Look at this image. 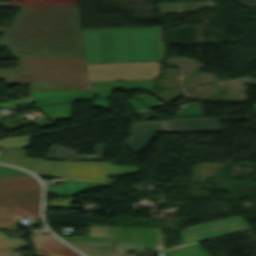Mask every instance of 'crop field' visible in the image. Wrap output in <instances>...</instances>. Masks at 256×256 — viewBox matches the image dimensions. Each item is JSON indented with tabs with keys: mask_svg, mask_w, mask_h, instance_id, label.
I'll list each match as a JSON object with an SVG mask.
<instances>
[{
	"mask_svg": "<svg viewBox=\"0 0 256 256\" xmlns=\"http://www.w3.org/2000/svg\"><path fill=\"white\" fill-rule=\"evenodd\" d=\"M0 32V46L6 45L16 59L83 55L77 5L21 8L11 27ZM20 51L26 52L15 53Z\"/></svg>",
	"mask_w": 256,
	"mask_h": 256,
	"instance_id": "obj_1",
	"label": "crop field"
},
{
	"mask_svg": "<svg viewBox=\"0 0 256 256\" xmlns=\"http://www.w3.org/2000/svg\"><path fill=\"white\" fill-rule=\"evenodd\" d=\"M18 63L19 69L0 70L6 84H30V91L91 88L85 82L82 56L26 59Z\"/></svg>",
	"mask_w": 256,
	"mask_h": 256,
	"instance_id": "obj_2",
	"label": "crop field"
},
{
	"mask_svg": "<svg viewBox=\"0 0 256 256\" xmlns=\"http://www.w3.org/2000/svg\"><path fill=\"white\" fill-rule=\"evenodd\" d=\"M23 149H1L0 162L29 169L38 175L113 182L108 176H121L139 171V168L118 167L110 162H52L25 158Z\"/></svg>",
	"mask_w": 256,
	"mask_h": 256,
	"instance_id": "obj_3",
	"label": "crop field"
},
{
	"mask_svg": "<svg viewBox=\"0 0 256 256\" xmlns=\"http://www.w3.org/2000/svg\"><path fill=\"white\" fill-rule=\"evenodd\" d=\"M40 198L35 177H0V228L15 230L16 219L39 218Z\"/></svg>",
	"mask_w": 256,
	"mask_h": 256,
	"instance_id": "obj_4",
	"label": "crop field"
},
{
	"mask_svg": "<svg viewBox=\"0 0 256 256\" xmlns=\"http://www.w3.org/2000/svg\"><path fill=\"white\" fill-rule=\"evenodd\" d=\"M138 114L145 121L133 124L131 128L133 135L127 139L128 146L137 154L150 140L156 129L164 132L221 131L218 120L215 119H180V117L203 116L199 103H185L178 115L179 119L171 121H146L154 115L150 110L141 111Z\"/></svg>",
	"mask_w": 256,
	"mask_h": 256,
	"instance_id": "obj_5",
	"label": "crop field"
},
{
	"mask_svg": "<svg viewBox=\"0 0 256 256\" xmlns=\"http://www.w3.org/2000/svg\"><path fill=\"white\" fill-rule=\"evenodd\" d=\"M118 62L161 60L163 46L160 27L114 29Z\"/></svg>",
	"mask_w": 256,
	"mask_h": 256,
	"instance_id": "obj_6",
	"label": "crop field"
},
{
	"mask_svg": "<svg viewBox=\"0 0 256 256\" xmlns=\"http://www.w3.org/2000/svg\"><path fill=\"white\" fill-rule=\"evenodd\" d=\"M65 241H114L143 244L155 251L163 249L158 229L89 227V237H61Z\"/></svg>",
	"mask_w": 256,
	"mask_h": 256,
	"instance_id": "obj_7",
	"label": "crop field"
},
{
	"mask_svg": "<svg viewBox=\"0 0 256 256\" xmlns=\"http://www.w3.org/2000/svg\"><path fill=\"white\" fill-rule=\"evenodd\" d=\"M88 81L154 79L160 71L156 62L86 64Z\"/></svg>",
	"mask_w": 256,
	"mask_h": 256,
	"instance_id": "obj_8",
	"label": "crop field"
},
{
	"mask_svg": "<svg viewBox=\"0 0 256 256\" xmlns=\"http://www.w3.org/2000/svg\"><path fill=\"white\" fill-rule=\"evenodd\" d=\"M93 89L64 90V91H43L30 92L36 106L54 103L79 101L92 99V96L99 98L111 97L114 89L120 88L118 82H96L91 83Z\"/></svg>",
	"mask_w": 256,
	"mask_h": 256,
	"instance_id": "obj_9",
	"label": "crop field"
},
{
	"mask_svg": "<svg viewBox=\"0 0 256 256\" xmlns=\"http://www.w3.org/2000/svg\"><path fill=\"white\" fill-rule=\"evenodd\" d=\"M86 63L117 62L112 29L82 30Z\"/></svg>",
	"mask_w": 256,
	"mask_h": 256,
	"instance_id": "obj_10",
	"label": "crop field"
},
{
	"mask_svg": "<svg viewBox=\"0 0 256 256\" xmlns=\"http://www.w3.org/2000/svg\"><path fill=\"white\" fill-rule=\"evenodd\" d=\"M248 228L240 216L190 228L182 234V241L187 244L237 230Z\"/></svg>",
	"mask_w": 256,
	"mask_h": 256,
	"instance_id": "obj_11",
	"label": "crop field"
},
{
	"mask_svg": "<svg viewBox=\"0 0 256 256\" xmlns=\"http://www.w3.org/2000/svg\"><path fill=\"white\" fill-rule=\"evenodd\" d=\"M36 256H81L52 235H30Z\"/></svg>",
	"mask_w": 256,
	"mask_h": 256,
	"instance_id": "obj_12",
	"label": "crop field"
},
{
	"mask_svg": "<svg viewBox=\"0 0 256 256\" xmlns=\"http://www.w3.org/2000/svg\"><path fill=\"white\" fill-rule=\"evenodd\" d=\"M74 248L79 251L85 253L88 256H125L127 250L133 252H143V245H134V244H122L116 243L115 245V253L106 252L101 250L95 246H105L107 242H67Z\"/></svg>",
	"mask_w": 256,
	"mask_h": 256,
	"instance_id": "obj_13",
	"label": "crop field"
},
{
	"mask_svg": "<svg viewBox=\"0 0 256 256\" xmlns=\"http://www.w3.org/2000/svg\"><path fill=\"white\" fill-rule=\"evenodd\" d=\"M106 145H97L94 156L78 155L77 151L70 148L53 145L47 156L51 160H102Z\"/></svg>",
	"mask_w": 256,
	"mask_h": 256,
	"instance_id": "obj_14",
	"label": "crop field"
},
{
	"mask_svg": "<svg viewBox=\"0 0 256 256\" xmlns=\"http://www.w3.org/2000/svg\"><path fill=\"white\" fill-rule=\"evenodd\" d=\"M111 184L65 179L60 187L46 186V193L74 196L94 187H110Z\"/></svg>",
	"mask_w": 256,
	"mask_h": 256,
	"instance_id": "obj_15",
	"label": "crop field"
},
{
	"mask_svg": "<svg viewBox=\"0 0 256 256\" xmlns=\"http://www.w3.org/2000/svg\"><path fill=\"white\" fill-rule=\"evenodd\" d=\"M159 254L160 256H209L198 243L160 252Z\"/></svg>",
	"mask_w": 256,
	"mask_h": 256,
	"instance_id": "obj_16",
	"label": "crop field"
},
{
	"mask_svg": "<svg viewBox=\"0 0 256 256\" xmlns=\"http://www.w3.org/2000/svg\"><path fill=\"white\" fill-rule=\"evenodd\" d=\"M73 103L38 107L53 120L66 119L70 117ZM48 117V118H49ZM49 118V119H50Z\"/></svg>",
	"mask_w": 256,
	"mask_h": 256,
	"instance_id": "obj_17",
	"label": "crop field"
},
{
	"mask_svg": "<svg viewBox=\"0 0 256 256\" xmlns=\"http://www.w3.org/2000/svg\"><path fill=\"white\" fill-rule=\"evenodd\" d=\"M123 91L132 89H155L154 80L118 81Z\"/></svg>",
	"mask_w": 256,
	"mask_h": 256,
	"instance_id": "obj_18",
	"label": "crop field"
},
{
	"mask_svg": "<svg viewBox=\"0 0 256 256\" xmlns=\"http://www.w3.org/2000/svg\"><path fill=\"white\" fill-rule=\"evenodd\" d=\"M29 245L27 242L12 236H7L0 232V248L13 247V246H25Z\"/></svg>",
	"mask_w": 256,
	"mask_h": 256,
	"instance_id": "obj_19",
	"label": "crop field"
},
{
	"mask_svg": "<svg viewBox=\"0 0 256 256\" xmlns=\"http://www.w3.org/2000/svg\"><path fill=\"white\" fill-rule=\"evenodd\" d=\"M30 138H19L14 140H4L0 142V147L24 148L29 144Z\"/></svg>",
	"mask_w": 256,
	"mask_h": 256,
	"instance_id": "obj_20",
	"label": "crop field"
},
{
	"mask_svg": "<svg viewBox=\"0 0 256 256\" xmlns=\"http://www.w3.org/2000/svg\"><path fill=\"white\" fill-rule=\"evenodd\" d=\"M22 175H31L20 169L6 167L0 165V176H22Z\"/></svg>",
	"mask_w": 256,
	"mask_h": 256,
	"instance_id": "obj_21",
	"label": "crop field"
},
{
	"mask_svg": "<svg viewBox=\"0 0 256 256\" xmlns=\"http://www.w3.org/2000/svg\"><path fill=\"white\" fill-rule=\"evenodd\" d=\"M136 98L148 107L155 106V105H160L159 102H157L156 100H154L153 98H151L147 95L137 96Z\"/></svg>",
	"mask_w": 256,
	"mask_h": 256,
	"instance_id": "obj_22",
	"label": "crop field"
},
{
	"mask_svg": "<svg viewBox=\"0 0 256 256\" xmlns=\"http://www.w3.org/2000/svg\"><path fill=\"white\" fill-rule=\"evenodd\" d=\"M92 106L108 110L107 99L93 100Z\"/></svg>",
	"mask_w": 256,
	"mask_h": 256,
	"instance_id": "obj_23",
	"label": "crop field"
},
{
	"mask_svg": "<svg viewBox=\"0 0 256 256\" xmlns=\"http://www.w3.org/2000/svg\"><path fill=\"white\" fill-rule=\"evenodd\" d=\"M13 250H20L19 247L2 248L0 249V256H13Z\"/></svg>",
	"mask_w": 256,
	"mask_h": 256,
	"instance_id": "obj_24",
	"label": "crop field"
},
{
	"mask_svg": "<svg viewBox=\"0 0 256 256\" xmlns=\"http://www.w3.org/2000/svg\"><path fill=\"white\" fill-rule=\"evenodd\" d=\"M128 105H130L131 107H133L135 110L141 109V108H145L144 105H142L140 102H138V101L135 100V99L129 100Z\"/></svg>",
	"mask_w": 256,
	"mask_h": 256,
	"instance_id": "obj_25",
	"label": "crop field"
},
{
	"mask_svg": "<svg viewBox=\"0 0 256 256\" xmlns=\"http://www.w3.org/2000/svg\"><path fill=\"white\" fill-rule=\"evenodd\" d=\"M255 108H256V104H255Z\"/></svg>",
	"mask_w": 256,
	"mask_h": 256,
	"instance_id": "obj_26",
	"label": "crop field"
}]
</instances>
